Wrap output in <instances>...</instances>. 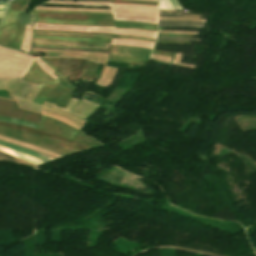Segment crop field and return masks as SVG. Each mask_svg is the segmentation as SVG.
Here are the masks:
<instances>
[{
    "label": "crop field",
    "instance_id": "crop-field-4",
    "mask_svg": "<svg viewBox=\"0 0 256 256\" xmlns=\"http://www.w3.org/2000/svg\"><path fill=\"white\" fill-rule=\"evenodd\" d=\"M159 27H199L204 28L205 22L196 21H159Z\"/></svg>",
    "mask_w": 256,
    "mask_h": 256
},
{
    "label": "crop field",
    "instance_id": "crop-field-3",
    "mask_svg": "<svg viewBox=\"0 0 256 256\" xmlns=\"http://www.w3.org/2000/svg\"><path fill=\"white\" fill-rule=\"evenodd\" d=\"M0 127H4V128H8V129H13V130H18V131H23V132H27V133H31V134H35L41 137H45V138H49V139H53V140H57V141H61L64 143H67L69 145L84 149V150H88V149H92L89 146L80 144V143H76L73 141H70L68 139L62 138L60 136L57 135H53L47 132H43V131H39V130H35L29 127H25V126H20V125H16V124H12V123H6V122H1L0 121Z\"/></svg>",
    "mask_w": 256,
    "mask_h": 256
},
{
    "label": "crop field",
    "instance_id": "crop-field-6",
    "mask_svg": "<svg viewBox=\"0 0 256 256\" xmlns=\"http://www.w3.org/2000/svg\"><path fill=\"white\" fill-rule=\"evenodd\" d=\"M0 160H9V161L23 163V164H27V165H31V166L36 167L33 164H30V163H28L26 161H23L21 159H18V158L14 157V156H11V155H8V154L2 153V152H0Z\"/></svg>",
    "mask_w": 256,
    "mask_h": 256
},
{
    "label": "crop field",
    "instance_id": "crop-field-2",
    "mask_svg": "<svg viewBox=\"0 0 256 256\" xmlns=\"http://www.w3.org/2000/svg\"><path fill=\"white\" fill-rule=\"evenodd\" d=\"M0 116L18 118L38 124L41 117L40 114L18 109L16 102L2 99H0Z\"/></svg>",
    "mask_w": 256,
    "mask_h": 256
},
{
    "label": "crop field",
    "instance_id": "crop-field-1",
    "mask_svg": "<svg viewBox=\"0 0 256 256\" xmlns=\"http://www.w3.org/2000/svg\"><path fill=\"white\" fill-rule=\"evenodd\" d=\"M40 58L69 82L81 60L77 58Z\"/></svg>",
    "mask_w": 256,
    "mask_h": 256
},
{
    "label": "crop field",
    "instance_id": "crop-field-8",
    "mask_svg": "<svg viewBox=\"0 0 256 256\" xmlns=\"http://www.w3.org/2000/svg\"><path fill=\"white\" fill-rule=\"evenodd\" d=\"M203 15H188V14H174V15H168V14H160V17H196L200 18Z\"/></svg>",
    "mask_w": 256,
    "mask_h": 256
},
{
    "label": "crop field",
    "instance_id": "crop-field-5",
    "mask_svg": "<svg viewBox=\"0 0 256 256\" xmlns=\"http://www.w3.org/2000/svg\"><path fill=\"white\" fill-rule=\"evenodd\" d=\"M0 145L3 146V147H6L8 149L17 151V152H21V153H24V154H27V155L39 158V159H41V160H43L45 162H48L50 160H54V159H52L50 157H47V156H44V155H41V154H38V153H35V152H32V151H29V150H25V149H22V148H19V147H16V146H13V145H10V144H7V143L0 142Z\"/></svg>",
    "mask_w": 256,
    "mask_h": 256
},
{
    "label": "crop field",
    "instance_id": "crop-field-7",
    "mask_svg": "<svg viewBox=\"0 0 256 256\" xmlns=\"http://www.w3.org/2000/svg\"><path fill=\"white\" fill-rule=\"evenodd\" d=\"M34 15L19 14L17 23L33 25Z\"/></svg>",
    "mask_w": 256,
    "mask_h": 256
},
{
    "label": "crop field",
    "instance_id": "crop-field-10",
    "mask_svg": "<svg viewBox=\"0 0 256 256\" xmlns=\"http://www.w3.org/2000/svg\"><path fill=\"white\" fill-rule=\"evenodd\" d=\"M32 48H43V47H32ZM46 49H61V50H75V51H89V52L109 53V51H99V50H81V49H64V48H46Z\"/></svg>",
    "mask_w": 256,
    "mask_h": 256
},
{
    "label": "crop field",
    "instance_id": "crop-field-11",
    "mask_svg": "<svg viewBox=\"0 0 256 256\" xmlns=\"http://www.w3.org/2000/svg\"><path fill=\"white\" fill-rule=\"evenodd\" d=\"M10 2H0V11H6Z\"/></svg>",
    "mask_w": 256,
    "mask_h": 256
},
{
    "label": "crop field",
    "instance_id": "crop-field-9",
    "mask_svg": "<svg viewBox=\"0 0 256 256\" xmlns=\"http://www.w3.org/2000/svg\"><path fill=\"white\" fill-rule=\"evenodd\" d=\"M157 40H186V41L200 42V39H190V38H166V37H158Z\"/></svg>",
    "mask_w": 256,
    "mask_h": 256
}]
</instances>
